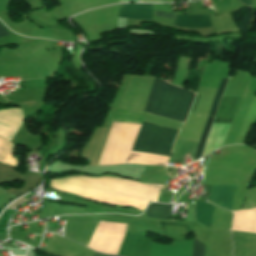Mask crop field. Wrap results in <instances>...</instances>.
Listing matches in <instances>:
<instances>
[{
    "label": "crop field",
    "mask_w": 256,
    "mask_h": 256,
    "mask_svg": "<svg viewBox=\"0 0 256 256\" xmlns=\"http://www.w3.org/2000/svg\"><path fill=\"white\" fill-rule=\"evenodd\" d=\"M161 232L165 233L173 241H185L190 233L188 226L180 224L159 223Z\"/></svg>",
    "instance_id": "crop-field-6"
},
{
    "label": "crop field",
    "mask_w": 256,
    "mask_h": 256,
    "mask_svg": "<svg viewBox=\"0 0 256 256\" xmlns=\"http://www.w3.org/2000/svg\"><path fill=\"white\" fill-rule=\"evenodd\" d=\"M205 245L194 239L192 256H204Z\"/></svg>",
    "instance_id": "crop-field-12"
},
{
    "label": "crop field",
    "mask_w": 256,
    "mask_h": 256,
    "mask_svg": "<svg viewBox=\"0 0 256 256\" xmlns=\"http://www.w3.org/2000/svg\"><path fill=\"white\" fill-rule=\"evenodd\" d=\"M241 5L250 8L251 6V0H237Z\"/></svg>",
    "instance_id": "crop-field-13"
},
{
    "label": "crop field",
    "mask_w": 256,
    "mask_h": 256,
    "mask_svg": "<svg viewBox=\"0 0 256 256\" xmlns=\"http://www.w3.org/2000/svg\"><path fill=\"white\" fill-rule=\"evenodd\" d=\"M178 129L142 121L131 152L169 155Z\"/></svg>",
    "instance_id": "crop-field-2"
},
{
    "label": "crop field",
    "mask_w": 256,
    "mask_h": 256,
    "mask_svg": "<svg viewBox=\"0 0 256 256\" xmlns=\"http://www.w3.org/2000/svg\"><path fill=\"white\" fill-rule=\"evenodd\" d=\"M9 34L5 31V29L0 25V37L8 36Z\"/></svg>",
    "instance_id": "crop-field-14"
},
{
    "label": "crop field",
    "mask_w": 256,
    "mask_h": 256,
    "mask_svg": "<svg viewBox=\"0 0 256 256\" xmlns=\"http://www.w3.org/2000/svg\"><path fill=\"white\" fill-rule=\"evenodd\" d=\"M171 211V204L164 205L158 203H150L145 210V215L152 218L169 219Z\"/></svg>",
    "instance_id": "crop-field-9"
},
{
    "label": "crop field",
    "mask_w": 256,
    "mask_h": 256,
    "mask_svg": "<svg viewBox=\"0 0 256 256\" xmlns=\"http://www.w3.org/2000/svg\"><path fill=\"white\" fill-rule=\"evenodd\" d=\"M194 97L188 90L155 78L144 111L184 122Z\"/></svg>",
    "instance_id": "crop-field-1"
},
{
    "label": "crop field",
    "mask_w": 256,
    "mask_h": 256,
    "mask_svg": "<svg viewBox=\"0 0 256 256\" xmlns=\"http://www.w3.org/2000/svg\"><path fill=\"white\" fill-rule=\"evenodd\" d=\"M104 176H115V175H111V174H106V175H104ZM115 177H117V176H115ZM65 178V177H64ZM119 178V177H118ZM121 179V178H120ZM51 180L52 179H50V182H51ZM49 185H50V183H49Z\"/></svg>",
    "instance_id": "crop-field-16"
},
{
    "label": "crop field",
    "mask_w": 256,
    "mask_h": 256,
    "mask_svg": "<svg viewBox=\"0 0 256 256\" xmlns=\"http://www.w3.org/2000/svg\"><path fill=\"white\" fill-rule=\"evenodd\" d=\"M241 98L222 97L214 123L230 124Z\"/></svg>",
    "instance_id": "crop-field-5"
},
{
    "label": "crop field",
    "mask_w": 256,
    "mask_h": 256,
    "mask_svg": "<svg viewBox=\"0 0 256 256\" xmlns=\"http://www.w3.org/2000/svg\"><path fill=\"white\" fill-rule=\"evenodd\" d=\"M93 256H111V255H103V254H99V253L95 252Z\"/></svg>",
    "instance_id": "crop-field-15"
},
{
    "label": "crop field",
    "mask_w": 256,
    "mask_h": 256,
    "mask_svg": "<svg viewBox=\"0 0 256 256\" xmlns=\"http://www.w3.org/2000/svg\"><path fill=\"white\" fill-rule=\"evenodd\" d=\"M154 5L150 4H122L118 17L135 19H152Z\"/></svg>",
    "instance_id": "crop-field-4"
},
{
    "label": "crop field",
    "mask_w": 256,
    "mask_h": 256,
    "mask_svg": "<svg viewBox=\"0 0 256 256\" xmlns=\"http://www.w3.org/2000/svg\"><path fill=\"white\" fill-rule=\"evenodd\" d=\"M212 121H213V117H208V120H207V123H206V126H205V129H204V132H203V135L201 137V140H200V143H199V146H198V149H197V152H196V155H195V158L194 159H199L200 156H201V153H202V149H203V146H204V143H205V140H206V137H207V134L209 132V129H210V126L212 124Z\"/></svg>",
    "instance_id": "crop-field-10"
},
{
    "label": "crop field",
    "mask_w": 256,
    "mask_h": 256,
    "mask_svg": "<svg viewBox=\"0 0 256 256\" xmlns=\"http://www.w3.org/2000/svg\"><path fill=\"white\" fill-rule=\"evenodd\" d=\"M195 204V221L211 227L214 206L209 203Z\"/></svg>",
    "instance_id": "crop-field-7"
},
{
    "label": "crop field",
    "mask_w": 256,
    "mask_h": 256,
    "mask_svg": "<svg viewBox=\"0 0 256 256\" xmlns=\"http://www.w3.org/2000/svg\"><path fill=\"white\" fill-rule=\"evenodd\" d=\"M225 84H226V81L222 80V81H221V84H220V86H219V89H218V91H217V93H216V96H215V98H214V101H213V104H212V107H211V110H210L209 115H212V116L215 115L216 106H217V104H218V101H219V99H220V96H221V93H222V90H223ZM198 96H199V95L197 94V97H196V100H195V103H194V106H193L191 112L194 111V108H195V105H196Z\"/></svg>",
    "instance_id": "crop-field-11"
},
{
    "label": "crop field",
    "mask_w": 256,
    "mask_h": 256,
    "mask_svg": "<svg viewBox=\"0 0 256 256\" xmlns=\"http://www.w3.org/2000/svg\"><path fill=\"white\" fill-rule=\"evenodd\" d=\"M174 25L186 27L211 26L208 16H176Z\"/></svg>",
    "instance_id": "crop-field-8"
},
{
    "label": "crop field",
    "mask_w": 256,
    "mask_h": 256,
    "mask_svg": "<svg viewBox=\"0 0 256 256\" xmlns=\"http://www.w3.org/2000/svg\"><path fill=\"white\" fill-rule=\"evenodd\" d=\"M236 186L212 185L209 201L222 208L231 209Z\"/></svg>",
    "instance_id": "crop-field-3"
}]
</instances>
